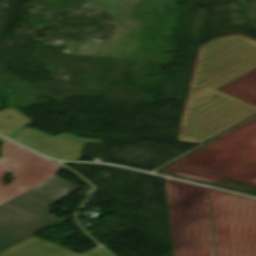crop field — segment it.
Returning a JSON list of instances; mask_svg holds the SVG:
<instances>
[{
  "mask_svg": "<svg viewBox=\"0 0 256 256\" xmlns=\"http://www.w3.org/2000/svg\"><path fill=\"white\" fill-rule=\"evenodd\" d=\"M256 68V41L244 35L221 37L199 49L178 134L200 143L256 114V106L216 89ZM203 82L195 86L196 82ZM219 96L210 100L213 96Z\"/></svg>",
  "mask_w": 256,
  "mask_h": 256,
  "instance_id": "obj_1",
  "label": "crop field"
},
{
  "mask_svg": "<svg viewBox=\"0 0 256 256\" xmlns=\"http://www.w3.org/2000/svg\"><path fill=\"white\" fill-rule=\"evenodd\" d=\"M79 186L61 178L32 188L0 206V251L60 220L49 214L52 196Z\"/></svg>",
  "mask_w": 256,
  "mask_h": 256,
  "instance_id": "obj_2",
  "label": "crop field"
},
{
  "mask_svg": "<svg viewBox=\"0 0 256 256\" xmlns=\"http://www.w3.org/2000/svg\"><path fill=\"white\" fill-rule=\"evenodd\" d=\"M58 165L18 146L8 142L5 144L3 157L0 158V205L22 192L52 178ZM16 178L11 184L2 186V178L9 169Z\"/></svg>",
  "mask_w": 256,
  "mask_h": 256,
  "instance_id": "obj_3",
  "label": "crop field"
},
{
  "mask_svg": "<svg viewBox=\"0 0 256 256\" xmlns=\"http://www.w3.org/2000/svg\"><path fill=\"white\" fill-rule=\"evenodd\" d=\"M11 139L45 156L60 160H76L81 157L85 142L101 143L102 141L79 138L68 133L50 136L33 128H24Z\"/></svg>",
  "mask_w": 256,
  "mask_h": 256,
  "instance_id": "obj_4",
  "label": "crop field"
},
{
  "mask_svg": "<svg viewBox=\"0 0 256 256\" xmlns=\"http://www.w3.org/2000/svg\"><path fill=\"white\" fill-rule=\"evenodd\" d=\"M0 256H109L99 247L79 255L34 236L0 252Z\"/></svg>",
  "mask_w": 256,
  "mask_h": 256,
  "instance_id": "obj_5",
  "label": "crop field"
},
{
  "mask_svg": "<svg viewBox=\"0 0 256 256\" xmlns=\"http://www.w3.org/2000/svg\"><path fill=\"white\" fill-rule=\"evenodd\" d=\"M11 117L12 119H8ZM31 121L20 111L10 107L0 111V134L11 138L17 132L30 124Z\"/></svg>",
  "mask_w": 256,
  "mask_h": 256,
  "instance_id": "obj_6",
  "label": "crop field"
},
{
  "mask_svg": "<svg viewBox=\"0 0 256 256\" xmlns=\"http://www.w3.org/2000/svg\"><path fill=\"white\" fill-rule=\"evenodd\" d=\"M9 90L0 88V97L6 98Z\"/></svg>",
  "mask_w": 256,
  "mask_h": 256,
  "instance_id": "obj_7",
  "label": "crop field"
},
{
  "mask_svg": "<svg viewBox=\"0 0 256 256\" xmlns=\"http://www.w3.org/2000/svg\"><path fill=\"white\" fill-rule=\"evenodd\" d=\"M5 141H7V140H5V139H3V138L0 137V143H3V142H5Z\"/></svg>",
  "mask_w": 256,
  "mask_h": 256,
  "instance_id": "obj_8",
  "label": "crop field"
}]
</instances>
